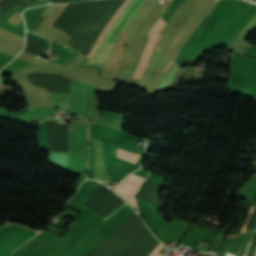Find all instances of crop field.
I'll return each instance as SVG.
<instances>
[{"label":"crop field","mask_w":256,"mask_h":256,"mask_svg":"<svg viewBox=\"0 0 256 256\" xmlns=\"http://www.w3.org/2000/svg\"><path fill=\"white\" fill-rule=\"evenodd\" d=\"M209 18H210V16L207 15L206 18L203 20V22L196 29V31L193 33V35L190 37V39L187 41V43L185 42L186 44L180 50L179 55H178L174 65L172 66L170 72L168 73V75L166 76V78L164 79V81L162 82L161 85L172 84L176 74L178 73V71L183 66V64L186 60V58L184 57L185 54L188 52V50L190 49L192 44L195 42V40L197 39L199 34L202 32V30L204 29L205 24L209 20Z\"/></svg>","instance_id":"obj_3"},{"label":"crop field","mask_w":256,"mask_h":256,"mask_svg":"<svg viewBox=\"0 0 256 256\" xmlns=\"http://www.w3.org/2000/svg\"><path fill=\"white\" fill-rule=\"evenodd\" d=\"M161 243L154 249V251L150 254V256H162V254L158 253L159 250L163 247Z\"/></svg>","instance_id":"obj_7"},{"label":"crop field","mask_w":256,"mask_h":256,"mask_svg":"<svg viewBox=\"0 0 256 256\" xmlns=\"http://www.w3.org/2000/svg\"><path fill=\"white\" fill-rule=\"evenodd\" d=\"M36 234V231L15 226L0 238V256H10L11 253Z\"/></svg>","instance_id":"obj_2"},{"label":"crop field","mask_w":256,"mask_h":256,"mask_svg":"<svg viewBox=\"0 0 256 256\" xmlns=\"http://www.w3.org/2000/svg\"><path fill=\"white\" fill-rule=\"evenodd\" d=\"M144 181V178L130 174L122 182L118 183L113 191L123 197L127 202H129L136 210L135 205V193L141 183Z\"/></svg>","instance_id":"obj_4"},{"label":"crop field","mask_w":256,"mask_h":256,"mask_svg":"<svg viewBox=\"0 0 256 256\" xmlns=\"http://www.w3.org/2000/svg\"><path fill=\"white\" fill-rule=\"evenodd\" d=\"M253 209H254V206H251V208H250V210H249V217H248L247 221L244 223V225H243L242 230H241L240 233H242V232L245 231V229H246V227H247V225H248L249 218H250V216H251V214H252Z\"/></svg>","instance_id":"obj_8"},{"label":"crop field","mask_w":256,"mask_h":256,"mask_svg":"<svg viewBox=\"0 0 256 256\" xmlns=\"http://www.w3.org/2000/svg\"><path fill=\"white\" fill-rule=\"evenodd\" d=\"M146 2V0H131L127 7L123 10L120 16L117 18L115 23L110 28V31L121 34L125 27L128 25L131 18L140 9V7ZM108 31L106 36L103 38L98 50L96 51L94 57L87 63L89 65L104 67L112 50L114 44L119 36V34ZM112 33V34H111ZM111 34L107 42L105 43L107 37ZM105 43V45H104ZM104 45V47H103ZM103 47V49H102ZM101 53L99 54L100 50Z\"/></svg>","instance_id":"obj_1"},{"label":"crop field","mask_w":256,"mask_h":256,"mask_svg":"<svg viewBox=\"0 0 256 256\" xmlns=\"http://www.w3.org/2000/svg\"><path fill=\"white\" fill-rule=\"evenodd\" d=\"M171 60H172V59H171ZM170 62H171V61H170ZM169 64H170V63H169ZM169 64H168V65H169ZM167 67H168V66H167ZM167 67H166V68H167ZM165 70H166V69H165ZM164 72H165V71H164Z\"/></svg>","instance_id":"obj_10"},{"label":"crop field","mask_w":256,"mask_h":256,"mask_svg":"<svg viewBox=\"0 0 256 256\" xmlns=\"http://www.w3.org/2000/svg\"><path fill=\"white\" fill-rule=\"evenodd\" d=\"M253 256H256V250H255V252H254Z\"/></svg>","instance_id":"obj_9"},{"label":"crop field","mask_w":256,"mask_h":256,"mask_svg":"<svg viewBox=\"0 0 256 256\" xmlns=\"http://www.w3.org/2000/svg\"><path fill=\"white\" fill-rule=\"evenodd\" d=\"M162 54H163V52H161L160 50H158L155 47V49L152 53L151 59L149 61L148 67H147L145 73L143 74V76L141 77V79L139 80V82L137 83L138 86L143 87L153 77V75L155 74V72L159 66Z\"/></svg>","instance_id":"obj_5"},{"label":"crop field","mask_w":256,"mask_h":256,"mask_svg":"<svg viewBox=\"0 0 256 256\" xmlns=\"http://www.w3.org/2000/svg\"><path fill=\"white\" fill-rule=\"evenodd\" d=\"M117 156L136 163L139 155L117 148Z\"/></svg>","instance_id":"obj_6"}]
</instances>
